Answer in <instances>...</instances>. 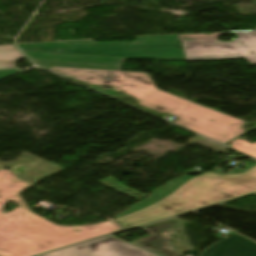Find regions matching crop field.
Instances as JSON below:
<instances>
[{
    "mask_svg": "<svg viewBox=\"0 0 256 256\" xmlns=\"http://www.w3.org/2000/svg\"><path fill=\"white\" fill-rule=\"evenodd\" d=\"M62 76L91 84V89L112 98L132 97L138 104L179 119L178 125L193 130L219 143H226L245 131L243 121L173 96L157 89L148 74L50 68ZM102 86H113L103 91Z\"/></svg>",
    "mask_w": 256,
    "mask_h": 256,
    "instance_id": "crop-field-1",
    "label": "crop field"
},
{
    "mask_svg": "<svg viewBox=\"0 0 256 256\" xmlns=\"http://www.w3.org/2000/svg\"><path fill=\"white\" fill-rule=\"evenodd\" d=\"M76 43L65 45L63 43ZM55 42L42 44H18L24 50L74 52L88 54H103L127 56L128 59H155L162 61L185 60L179 45L177 35L139 37L134 43H96L93 40ZM132 46H124V45Z\"/></svg>",
    "mask_w": 256,
    "mask_h": 256,
    "instance_id": "crop-field-4",
    "label": "crop field"
},
{
    "mask_svg": "<svg viewBox=\"0 0 256 256\" xmlns=\"http://www.w3.org/2000/svg\"><path fill=\"white\" fill-rule=\"evenodd\" d=\"M198 256H256V243L235 234L211 245Z\"/></svg>",
    "mask_w": 256,
    "mask_h": 256,
    "instance_id": "crop-field-9",
    "label": "crop field"
},
{
    "mask_svg": "<svg viewBox=\"0 0 256 256\" xmlns=\"http://www.w3.org/2000/svg\"><path fill=\"white\" fill-rule=\"evenodd\" d=\"M24 51V50H23ZM38 66L121 71L127 57L24 51Z\"/></svg>",
    "mask_w": 256,
    "mask_h": 256,
    "instance_id": "crop-field-6",
    "label": "crop field"
},
{
    "mask_svg": "<svg viewBox=\"0 0 256 256\" xmlns=\"http://www.w3.org/2000/svg\"><path fill=\"white\" fill-rule=\"evenodd\" d=\"M141 229L154 236L131 242L132 244L149 250L159 256H179L178 253L167 247V234L181 229V225L176 218Z\"/></svg>",
    "mask_w": 256,
    "mask_h": 256,
    "instance_id": "crop-field-8",
    "label": "crop field"
},
{
    "mask_svg": "<svg viewBox=\"0 0 256 256\" xmlns=\"http://www.w3.org/2000/svg\"><path fill=\"white\" fill-rule=\"evenodd\" d=\"M256 192V166L250 170L219 176L177 178L114 217L125 229Z\"/></svg>",
    "mask_w": 256,
    "mask_h": 256,
    "instance_id": "crop-field-3",
    "label": "crop field"
},
{
    "mask_svg": "<svg viewBox=\"0 0 256 256\" xmlns=\"http://www.w3.org/2000/svg\"><path fill=\"white\" fill-rule=\"evenodd\" d=\"M106 181H108V182H110V183H112V184H115V185H117V186H119V187H122V188H124V189H126V190H129V191H131V192H133V193H136V194H138V195H140V196H142V197L139 198V197H137V196H135V195H132V194H130V193H128V192H125V191H123V190H121V189H118V188H116V187H114V186H111V185L105 183ZM98 183L103 184V185H105V186H108V187H110V188L116 189V190H118V191H120V192H122V193H125V194H127V195H129V196H132V197H134V198H137V199H139V200H141V199H143L144 197L147 196V195L141 194V193H139V192H137V191H135V190H131V189H129V188L123 186L121 183H119L116 179H114V178L111 177V176L108 177V178H106V179H104V180H102V181H100V182H98Z\"/></svg>",
    "mask_w": 256,
    "mask_h": 256,
    "instance_id": "crop-field-12",
    "label": "crop field"
},
{
    "mask_svg": "<svg viewBox=\"0 0 256 256\" xmlns=\"http://www.w3.org/2000/svg\"><path fill=\"white\" fill-rule=\"evenodd\" d=\"M18 58L24 57L14 45L0 46V69L15 68L14 63Z\"/></svg>",
    "mask_w": 256,
    "mask_h": 256,
    "instance_id": "crop-field-10",
    "label": "crop field"
},
{
    "mask_svg": "<svg viewBox=\"0 0 256 256\" xmlns=\"http://www.w3.org/2000/svg\"><path fill=\"white\" fill-rule=\"evenodd\" d=\"M231 146L239 151H242L246 154L256 157V143L250 144L245 140L237 139L230 143ZM239 144V145H237Z\"/></svg>",
    "mask_w": 256,
    "mask_h": 256,
    "instance_id": "crop-field-11",
    "label": "crop field"
},
{
    "mask_svg": "<svg viewBox=\"0 0 256 256\" xmlns=\"http://www.w3.org/2000/svg\"><path fill=\"white\" fill-rule=\"evenodd\" d=\"M16 72V70H7V71H0V78L8 76L12 73ZM17 73V72H16Z\"/></svg>",
    "mask_w": 256,
    "mask_h": 256,
    "instance_id": "crop-field-13",
    "label": "crop field"
},
{
    "mask_svg": "<svg viewBox=\"0 0 256 256\" xmlns=\"http://www.w3.org/2000/svg\"><path fill=\"white\" fill-rule=\"evenodd\" d=\"M229 33L178 35L186 60H222L246 58L256 65V32H235L238 39L219 42L217 36Z\"/></svg>",
    "mask_w": 256,
    "mask_h": 256,
    "instance_id": "crop-field-5",
    "label": "crop field"
},
{
    "mask_svg": "<svg viewBox=\"0 0 256 256\" xmlns=\"http://www.w3.org/2000/svg\"><path fill=\"white\" fill-rule=\"evenodd\" d=\"M41 256H154L110 236Z\"/></svg>",
    "mask_w": 256,
    "mask_h": 256,
    "instance_id": "crop-field-7",
    "label": "crop field"
},
{
    "mask_svg": "<svg viewBox=\"0 0 256 256\" xmlns=\"http://www.w3.org/2000/svg\"><path fill=\"white\" fill-rule=\"evenodd\" d=\"M31 186L12 171L0 170V256H34L122 230L110 220L96 225L57 226L31 212L20 197ZM10 200L20 207L9 213L1 211Z\"/></svg>",
    "mask_w": 256,
    "mask_h": 256,
    "instance_id": "crop-field-2",
    "label": "crop field"
}]
</instances>
